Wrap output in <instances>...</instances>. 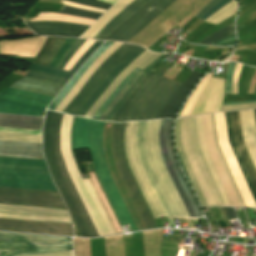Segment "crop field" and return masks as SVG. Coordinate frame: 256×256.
Returning a JSON list of instances; mask_svg holds the SVG:
<instances>
[{"instance_id":"crop-field-1","label":"crop field","mask_w":256,"mask_h":256,"mask_svg":"<svg viewBox=\"0 0 256 256\" xmlns=\"http://www.w3.org/2000/svg\"><path fill=\"white\" fill-rule=\"evenodd\" d=\"M0 186L57 191L44 161L0 157ZM0 187V203L66 209L58 192Z\"/></svg>"},{"instance_id":"crop-field-2","label":"crop field","mask_w":256,"mask_h":256,"mask_svg":"<svg viewBox=\"0 0 256 256\" xmlns=\"http://www.w3.org/2000/svg\"><path fill=\"white\" fill-rule=\"evenodd\" d=\"M62 117V114L47 111L43 128V153L81 235L99 236L65 168L59 140Z\"/></svg>"},{"instance_id":"crop-field-3","label":"crop field","mask_w":256,"mask_h":256,"mask_svg":"<svg viewBox=\"0 0 256 256\" xmlns=\"http://www.w3.org/2000/svg\"><path fill=\"white\" fill-rule=\"evenodd\" d=\"M104 123L76 117L73 129V150L90 148L95 172L121 224H130L133 231H138L106 166L102 140Z\"/></svg>"},{"instance_id":"crop-field-4","label":"crop field","mask_w":256,"mask_h":256,"mask_svg":"<svg viewBox=\"0 0 256 256\" xmlns=\"http://www.w3.org/2000/svg\"><path fill=\"white\" fill-rule=\"evenodd\" d=\"M180 85V83L148 73L110 121L156 119Z\"/></svg>"},{"instance_id":"crop-field-5","label":"crop field","mask_w":256,"mask_h":256,"mask_svg":"<svg viewBox=\"0 0 256 256\" xmlns=\"http://www.w3.org/2000/svg\"><path fill=\"white\" fill-rule=\"evenodd\" d=\"M198 147L224 206H244L220 149L217 145L213 116L194 117Z\"/></svg>"},{"instance_id":"crop-field-6","label":"crop field","mask_w":256,"mask_h":256,"mask_svg":"<svg viewBox=\"0 0 256 256\" xmlns=\"http://www.w3.org/2000/svg\"><path fill=\"white\" fill-rule=\"evenodd\" d=\"M176 125H177V122H176ZM175 141H176V127H175ZM177 141H178V146L181 150L183 158L186 162V165L188 167V170L191 174V177L194 181V184L196 186V189L199 193V196L201 198V201L204 207L223 206L217 194V191L214 187V184L211 180L209 172L206 168V165L203 161V158L200 154V151L197 147L193 117L178 119ZM177 141H176V146H177ZM179 148H178V151L180 153ZM182 155H181V158H182ZM184 160H183V163L185 165ZM186 165H185V168L187 170ZM189 172H188V175L190 177ZM191 177H190V180L195 189V186L193 184ZM196 189H195V192L200 201V198L198 196Z\"/></svg>"},{"instance_id":"crop-field-7","label":"crop field","mask_w":256,"mask_h":256,"mask_svg":"<svg viewBox=\"0 0 256 256\" xmlns=\"http://www.w3.org/2000/svg\"><path fill=\"white\" fill-rule=\"evenodd\" d=\"M244 141L256 167V130L253 110L239 111ZM238 111L225 113L229 143L256 202V169L243 141Z\"/></svg>"},{"instance_id":"crop-field-8","label":"crop field","mask_w":256,"mask_h":256,"mask_svg":"<svg viewBox=\"0 0 256 256\" xmlns=\"http://www.w3.org/2000/svg\"><path fill=\"white\" fill-rule=\"evenodd\" d=\"M72 250L70 238L0 233V256H27Z\"/></svg>"},{"instance_id":"crop-field-9","label":"crop field","mask_w":256,"mask_h":256,"mask_svg":"<svg viewBox=\"0 0 256 256\" xmlns=\"http://www.w3.org/2000/svg\"><path fill=\"white\" fill-rule=\"evenodd\" d=\"M161 120L148 121L145 132V148L149 164L176 217H189L160 158L158 133Z\"/></svg>"},{"instance_id":"crop-field-10","label":"crop field","mask_w":256,"mask_h":256,"mask_svg":"<svg viewBox=\"0 0 256 256\" xmlns=\"http://www.w3.org/2000/svg\"><path fill=\"white\" fill-rule=\"evenodd\" d=\"M173 120H162L159 133V147L163 164L190 217L202 216L174 159L171 147V127Z\"/></svg>"},{"instance_id":"crop-field-11","label":"crop field","mask_w":256,"mask_h":256,"mask_svg":"<svg viewBox=\"0 0 256 256\" xmlns=\"http://www.w3.org/2000/svg\"><path fill=\"white\" fill-rule=\"evenodd\" d=\"M138 46L123 43L111 56H109L87 80L80 92L64 109L63 113L76 115L83 105L92 97L96 89L106 77ZM98 90V89H97Z\"/></svg>"},{"instance_id":"crop-field-12","label":"crop field","mask_w":256,"mask_h":256,"mask_svg":"<svg viewBox=\"0 0 256 256\" xmlns=\"http://www.w3.org/2000/svg\"><path fill=\"white\" fill-rule=\"evenodd\" d=\"M125 123H115L113 131V150L117 169L147 227V229L158 228L126 163L123 149V131Z\"/></svg>"},{"instance_id":"crop-field-13","label":"crop field","mask_w":256,"mask_h":256,"mask_svg":"<svg viewBox=\"0 0 256 256\" xmlns=\"http://www.w3.org/2000/svg\"><path fill=\"white\" fill-rule=\"evenodd\" d=\"M138 122H128L125 130V149L129 167L155 218L166 216L139 161L136 148Z\"/></svg>"},{"instance_id":"crop-field-14","label":"crop field","mask_w":256,"mask_h":256,"mask_svg":"<svg viewBox=\"0 0 256 256\" xmlns=\"http://www.w3.org/2000/svg\"><path fill=\"white\" fill-rule=\"evenodd\" d=\"M52 99L8 88L0 94V112L40 116Z\"/></svg>"},{"instance_id":"crop-field-15","label":"crop field","mask_w":256,"mask_h":256,"mask_svg":"<svg viewBox=\"0 0 256 256\" xmlns=\"http://www.w3.org/2000/svg\"><path fill=\"white\" fill-rule=\"evenodd\" d=\"M173 1L150 0L120 24L105 40L127 42Z\"/></svg>"},{"instance_id":"crop-field-16","label":"crop field","mask_w":256,"mask_h":256,"mask_svg":"<svg viewBox=\"0 0 256 256\" xmlns=\"http://www.w3.org/2000/svg\"><path fill=\"white\" fill-rule=\"evenodd\" d=\"M0 217L71 223L67 210L0 204Z\"/></svg>"},{"instance_id":"crop-field-17","label":"crop field","mask_w":256,"mask_h":256,"mask_svg":"<svg viewBox=\"0 0 256 256\" xmlns=\"http://www.w3.org/2000/svg\"><path fill=\"white\" fill-rule=\"evenodd\" d=\"M0 229L73 235L71 224L0 218Z\"/></svg>"},{"instance_id":"crop-field-18","label":"crop field","mask_w":256,"mask_h":256,"mask_svg":"<svg viewBox=\"0 0 256 256\" xmlns=\"http://www.w3.org/2000/svg\"><path fill=\"white\" fill-rule=\"evenodd\" d=\"M26 25L35 33L45 36L80 37L89 26L62 22H26Z\"/></svg>"},{"instance_id":"crop-field-19","label":"crop field","mask_w":256,"mask_h":256,"mask_svg":"<svg viewBox=\"0 0 256 256\" xmlns=\"http://www.w3.org/2000/svg\"><path fill=\"white\" fill-rule=\"evenodd\" d=\"M146 122H139L138 125V131H137V148H138V152H139V157H140V161H141V165L167 215V217H175L149 164H148V160H147V156H146V152H145V148H144V132H145V127H146Z\"/></svg>"},{"instance_id":"crop-field-20","label":"crop field","mask_w":256,"mask_h":256,"mask_svg":"<svg viewBox=\"0 0 256 256\" xmlns=\"http://www.w3.org/2000/svg\"><path fill=\"white\" fill-rule=\"evenodd\" d=\"M159 54H153L147 50L142 53L138 58H136L130 65H128L124 71L117 77V79L109 86V88L102 94V96L97 100V102L91 107L85 117L92 118L93 114L98 110V108L105 102V100L112 94V92L117 88L120 82L136 67L144 69L149 63H151Z\"/></svg>"},{"instance_id":"crop-field-21","label":"crop field","mask_w":256,"mask_h":256,"mask_svg":"<svg viewBox=\"0 0 256 256\" xmlns=\"http://www.w3.org/2000/svg\"><path fill=\"white\" fill-rule=\"evenodd\" d=\"M201 76H203V74L193 70L189 78L185 80L173 95L161 115L159 114L160 116L158 118H174L176 111L179 109Z\"/></svg>"},{"instance_id":"crop-field-22","label":"crop field","mask_w":256,"mask_h":256,"mask_svg":"<svg viewBox=\"0 0 256 256\" xmlns=\"http://www.w3.org/2000/svg\"><path fill=\"white\" fill-rule=\"evenodd\" d=\"M0 155L44 159L41 144L0 140Z\"/></svg>"},{"instance_id":"crop-field-23","label":"crop field","mask_w":256,"mask_h":256,"mask_svg":"<svg viewBox=\"0 0 256 256\" xmlns=\"http://www.w3.org/2000/svg\"><path fill=\"white\" fill-rule=\"evenodd\" d=\"M10 87L55 97L63 86L38 79L24 77L16 81Z\"/></svg>"},{"instance_id":"crop-field-24","label":"crop field","mask_w":256,"mask_h":256,"mask_svg":"<svg viewBox=\"0 0 256 256\" xmlns=\"http://www.w3.org/2000/svg\"><path fill=\"white\" fill-rule=\"evenodd\" d=\"M145 49L139 47L130 56H128L102 83L98 90L94 93L90 101L79 111L78 116L84 117L90 107L96 102V100L101 96V94L108 88V86L115 80V78L122 72V70L131 63L136 57H138Z\"/></svg>"},{"instance_id":"crop-field-25","label":"crop field","mask_w":256,"mask_h":256,"mask_svg":"<svg viewBox=\"0 0 256 256\" xmlns=\"http://www.w3.org/2000/svg\"><path fill=\"white\" fill-rule=\"evenodd\" d=\"M122 43H114L105 53H103L89 68V70L78 80L72 91L66 96V98L58 105L56 111L62 112L65 106L72 100V98L79 92L82 85L96 70V68L110 55L112 54Z\"/></svg>"},{"instance_id":"crop-field-26","label":"crop field","mask_w":256,"mask_h":256,"mask_svg":"<svg viewBox=\"0 0 256 256\" xmlns=\"http://www.w3.org/2000/svg\"><path fill=\"white\" fill-rule=\"evenodd\" d=\"M149 0H134L121 13L103 27L93 39L104 40L120 23H122L133 12L147 3Z\"/></svg>"},{"instance_id":"crop-field-27","label":"crop field","mask_w":256,"mask_h":256,"mask_svg":"<svg viewBox=\"0 0 256 256\" xmlns=\"http://www.w3.org/2000/svg\"><path fill=\"white\" fill-rule=\"evenodd\" d=\"M43 118L0 114V127L41 130Z\"/></svg>"},{"instance_id":"crop-field-28","label":"crop field","mask_w":256,"mask_h":256,"mask_svg":"<svg viewBox=\"0 0 256 256\" xmlns=\"http://www.w3.org/2000/svg\"><path fill=\"white\" fill-rule=\"evenodd\" d=\"M112 44L113 43L106 42L91 56V58L84 64V66L77 72V74L68 82V84L63 88V90L58 94V96L55 98V100L52 102L48 109L54 110V108L64 99V97L72 89L75 82L80 78V76L93 64L96 58Z\"/></svg>"},{"instance_id":"crop-field-29","label":"crop field","mask_w":256,"mask_h":256,"mask_svg":"<svg viewBox=\"0 0 256 256\" xmlns=\"http://www.w3.org/2000/svg\"><path fill=\"white\" fill-rule=\"evenodd\" d=\"M103 42L96 41L92 47L78 60V62L75 64V66L72 68L70 72L64 71V70H59V69H54L50 67H45L41 65H35L32 64L30 70H35L39 72H44V73H49L53 75H58V76H63L67 78H71L74 73L81 67V65L91 56V54L102 44Z\"/></svg>"},{"instance_id":"crop-field-30","label":"crop field","mask_w":256,"mask_h":256,"mask_svg":"<svg viewBox=\"0 0 256 256\" xmlns=\"http://www.w3.org/2000/svg\"><path fill=\"white\" fill-rule=\"evenodd\" d=\"M65 40L66 38L48 37L32 62L48 66L51 59Z\"/></svg>"},{"instance_id":"crop-field-31","label":"crop field","mask_w":256,"mask_h":256,"mask_svg":"<svg viewBox=\"0 0 256 256\" xmlns=\"http://www.w3.org/2000/svg\"><path fill=\"white\" fill-rule=\"evenodd\" d=\"M132 0H120L110 10H108L94 25L81 37L92 39L95 34L108 23L115 15L122 11Z\"/></svg>"},{"instance_id":"crop-field-32","label":"crop field","mask_w":256,"mask_h":256,"mask_svg":"<svg viewBox=\"0 0 256 256\" xmlns=\"http://www.w3.org/2000/svg\"><path fill=\"white\" fill-rule=\"evenodd\" d=\"M87 174H88V176H89V178H90V180H91V182H92V184H93V186H94V188H95V190H96V192H97V194H98V196H99V198H100V200H101V202H102V204H103V206H104V208H105V210H106V212H107V214H108V216H109V218H110V220H111V222H112V224H113V226L116 230V232L117 233H122L121 229L119 227V224H118V222H117V220H116V218H115V216H114V214H113V212H112V210H111V208H110V206H109V204H108V202H107V200H106V198H105V196H104V194H103V192H102V190H101V188H100V186H99V184H98V182H97V180H96V178L93 174V172H89Z\"/></svg>"},{"instance_id":"crop-field-33","label":"crop field","mask_w":256,"mask_h":256,"mask_svg":"<svg viewBox=\"0 0 256 256\" xmlns=\"http://www.w3.org/2000/svg\"><path fill=\"white\" fill-rule=\"evenodd\" d=\"M236 9H237V3L233 1L230 4H228L227 6H225L224 8H222L221 10H219L217 13H215L212 17H210L206 21L210 22V23L217 24L221 20L235 14Z\"/></svg>"},{"instance_id":"crop-field-34","label":"crop field","mask_w":256,"mask_h":256,"mask_svg":"<svg viewBox=\"0 0 256 256\" xmlns=\"http://www.w3.org/2000/svg\"><path fill=\"white\" fill-rule=\"evenodd\" d=\"M59 13L80 16V17H86V18H90V19H94V20H97L102 15L101 13L87 11V10L69 7V6H65V5H63V8Z\"/></svg>"},{"instance_id":"crop-field-35","label":"crop field","mask_w":256,"mask_h":256,"mask_svg":"<svg viewBox=\"0 0 256 256\" xmlns=\"http://www.w3.org/2000/svg\"><path fill=\"white\" fill-rule=\"evenodd\" d=\"M234 34V23L221 29L220 31L208 36L198 44L210 45L220 39L231 36Z\"/></svg>"},{"instance_id":"crop-field-36","label":"crop field","mask_w":256,"mask_h":256,"mask_svg":"<svg viewBox=\"0 0 256 256\" xmlns=\"http://www.w3.org/2000/svg\"><path fill=\"white\" fill-rule=\"evenodd\" d=\"M138 70L135 69L132 73H130L119 85V87L114 91V93L106 100V102L99 108V110L95 113L93 116V119H99L101 114L105 111V109L110 105V103L115 99V97L119 94V92L122 90V88L125 86V84L133 77V75Z\"/></svg>"},{"instance_id":"crop-field-37","label":"crop field","mask_w":256,"mask_h":256,"mask_svg":"<svg viewBox=\"0 0 256 256\" xmlns=\"http://www.w3.org/2000/svg\"><path fill=\"white\" fill-rule=\"evenodd\" d=\"M0 139L41 143V136H36V135L0 132Z\"/></svg>"},{"instance_id":"crop-field-38","label":"crop field","mask_w":256,"mask_h":256,"mask_svg":"<svg viewBox=\"0 0 256 256\" xmlns=\"http://www.w3.org/2000/svg\"><path fill=\"white\" fill-rule=\"evenodd\" d=\"M76 39L67 38L57 55L54 57L52 62L49 64L50 67L57 68L60 60L65 55V53L68 51V49L71 47V45L75 42Z\"/></svg>"},{"instance_id":"crop-field-39","label":"crop field","mask_w":256,"mask_h":256,"mask_svg":"<svg viewBox=\"0 0 256 256\" xmlns=\"http://www.w3.org/2000/svg\"><path fill=\"white\" fill-rule=\"evenodd\" d=\"M26 76L43 79V80H47V81H51V82H55V83H59V84H63V85H65V83L68 81L67 78L46 75V74H41V73H36V72H31V71H28Z\"/></svg>"},{"instance_id":"crop-field-40","label":"crop field","mask_w":256,"mask_h":256,"mask_svg":"<svg viewBox=\"0 0 256 256\" xmlns=\"http://www.w3.org/2000/svg\"><path fill=\"white\" fill-rule=\"evenodd\" d=\"M146 72H144L135 83L129 88V90L124 94V96L119 100V102L114 106V108L110 111L105 121H109L115 111L119 108V106L123 103V101L128 97V95L134 90V88L139 84L142 78L145 76Z\"/></svg>"},{"instance_id":"crop-field-41","label":"crop field","mask_w":256,"mask_h":256,"mask_svg":"<svg viewBox=\"0 0 256 256\" xmlns=\"http://www.w3.org/2000/svg\"><path fill=\"white\" fill-rule=\"evenodd\" d=\"M143 71H139L123 88V90L120 92V94L117 96V98L112 102V104L107 108V110L103 113L100 120H104L106 115L109 113V111L112 109V107L117 103V101L122 97V95L127 91V89L134 83V81L140 76V74Z\"/></svg>"},{"instance_id":"crop-field-42","label":"crop field","mask_w":256,"mask_h":256,"mask_svg":"<svg viewBox=\"0 0 256 256\" xmlns=\"http://www.w3.org/2000/svg\"><path fill=\"white\" fill-rule=\"evenodd\" d=\"M86 40L77 39L74 45L70 48L64 58L61 60L58 68L63 69L75 51L85 42Z\"/></svg>"},{"instance_id":"crop-field-43","label":"crop field","mask_w":256,"mask_h":256,"mask_svg":"<svg viewBox=\"0 0 256 256\" xmlns=\"http://www.w3.org/2000/svg\"><path fill=\"white\" fill-rule=\"evenodd\" d=\"M67 1L84 4V5H88V6H93V7H97V8H101V9H105V10H107L111 7V4L100 2L97 0H67Z\"/></svg>"},{"instance_id":"crop-field-44","label":"crop field","mask_w":256,"mask_h":256,"mask_svg":"<svg viewBox=\"0 0 256 256\" xmlns=\"http://www.w3.org/2000/svg\"><path fill=\"white\" fill-rule=\"evenodd\" d=\"M233 0H221L219 3H217L211 10H209L205 15H203L200 20L205 21L208 19L211 15H213L216 11L224 7L226 4L231 2Z\"/></svg>"},{"instance_id":"crop-field-45","label":"crop field","mask_w":256,"mask_h":256,"mask_svg":"<svg viewBox=\"0 0 256 256\" xmlns=\"http://www.w3.org/2000/svg\"><path fill=\"white\" fill-rule=\"evenodd\" d=\"M236 63H231L228 69V75L226 79V88H225V94H231V80H232V75L234 71Z\"/></svg>"},{"instance_id":"crop-field-46","label":"crop field","mask_w":256,"mask_h":256,"mask_svg":"<svg viewBox=\"0 0 256 256\" xmlns=\"http://www.w3.org/2000/svg\"><path fill=\"white\" fill-rule=\"evenodd\" d=\"M255 104L256 103L235 105V106H222L221 111H233V110H243V109L255 108Z\"/></svg>"},{"instance_id":"crop-field-47","label":"crop field","mask_w":256,"mask_h":256,"mask_svg":"<svg viewBox=\"0 0 256 256\" xmlns=\"http://www.w3.org/2000/svg\"><path fill=\"white\" fill-rule=\"evenodd\" d=\"M219 1L220 0H211L194 17L199 19L203 14H205L209 9H211Z\"/></svg>"},{"instance_id":"crop-field-48","label":"crop field","mask_w":256,"mask_h":256,"mask_svg":"<svg viewBox=\"0 0 256 256\" xmlns=\"http://www.w3.org/2000/svg\"><path fill=\"white\" fill-rule=\"evenodd\" d=\"M41 20H61V21H68V22H74V23H79V24L91 25V23L74 21V20H67V19H59V18H34L30 21H41Z\"/></svg>"},{"instance_id":"crop-field-49","label":"crop field","mask_w":256,"mask_h":256,"mask_svg":"<svg viewBox=\"0 0 256 256\" xmlns=\"http://www.w3.org/2000/svg\"><path fill=\"white\" fill-rule=\"evenodd\" d=\"M228 220L238 219L233 208H223Z\"/></svg>"},{"instance_id":"crop-field-50","label":"crop field","mask_w":256,"mask_h":256,"mask_svg":"<svg viewBox=\"0 0 256 256\" xmlns=\"http://www.w3.org/2000/svg\"><path fill=\"white\" fill-rule=\"evenodd\" d=\"M36 256H73V255H72V251H68V252H60V253L36 255Z\"/></svg>"},{"instance_id":"crop-field-51","label":"crop field","mask_w":256,"mask_h":256,"mask_svg":"<svg viewBox=\"0 0 256 256\" xmlns=\"http://www.w3.org/2000/svg\"><path fill=\"white\" fill-rule=\"evenodd\" d=\"M164 56L161 55L160 57H158L156 60H154L151 64H149L144 70L147 71L149 68H151L155 63H157L161 58H163Z\"/></svg>"},{"instance_id":"crop-field-52","label":"crop field","mask_w":256,"mask_h":256,"mask_svg":"<svg viewBox=\"0 0 256 256\" xmlns=\"http://www.w3.org/2000/svg\"><path fill=\"white\" fill-rule=\"evenodd\" d=\"M234 42H235V37H233V38H231V39H228V40H226V41H223V42L217 44V46H219V45H225V44H230V43H234Z\"/></svg>"},{"instance_id":"crop-field-53","label":"crop field","mask_w":256,"mask_h":256,"mask_svg":"<svg viewBox=\"0 0 256 256\" xmlns=\"http://www.w3.org/2000/svg\"><path fill=\"white\" fill-rule=\"evenodd\" d=\"M256 101H251V102H240V103H223V105H235V104H243V103H252Z\"/></svg>"},{"instance_id":"crop-field-54","label":"crop field","mask_w":256,"mask_h":256,"mask_svg":"<svg viewBox=\"0 0 256 256\" xmlns=\"http://www.w3.org/2000/svg\"><path fill=\"white\" fill-rule=\"evenodd\" d=\"M171 227H176L172 219H167Z\"/></svg>"},{"instance_id":"crop-field-55","label":"crop field","mask_w":256,"mask_h":256,"mask_svg":"<svg viewBox=\"0 0 256 256\" xmlns=\"http://www.w3.org/2000/svg\"><path fill=\"white\" fill-rule=\"evenodd\" d=\"M234 36V35H233ZM233 36H231V37H233ZM229 38V37H228ZM227 39V38H226ZM223 40H225V39H223ZM223 40H220V41H223ZM219 42V41H218ZM217 43V42H216ZM215 44V43H214ZM213 45V44H212Z\"/></svg>"},{"instance_id":"crop-field-56","label":"crop field","mask_w":256,"mask_h":256,"mask_svg":"<svg viewBox=\"0 0 256 256\" xmlns=\"http://www.w3.org/2000/svg\"><path fill=\"white\" fill-rule=\"evenodd\" d=\"M254 113H255V120H256V109L254 110Z\"/></svg>"}]
</instances>
